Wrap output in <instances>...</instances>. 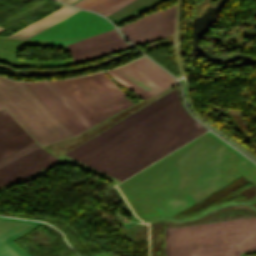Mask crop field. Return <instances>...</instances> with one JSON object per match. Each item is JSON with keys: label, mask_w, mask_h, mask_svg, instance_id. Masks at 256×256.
<instances>
[{"label": "crop field", "mask_w": 256, "mask_h": 256, "mask_svg": "<svg viewBox=\"0 0 256 256\" xmlns=\"http://www.w3.org/2000/svg\"><path fill=\"white\" fill-rule=\"evenodd\" d=\"M136 62L139 65H141L143 68H145L147 71L152 73L154 76H156L158 79H160L162 82H164L166 85L169 86L176 82L170 75H168L166 72H164L161 68H159L153 62H151L149 59L144 58V59H141ZM137 63H135L133 61L123 67H120L119 69H121L123 72H125L126 74L131 76L133 79H135L136 81L141 83L146 88L143 87L138 82H136L135 80H133L128 75H126L125 73H123L119 69L108 71L107 73H109L114 78H116L117 80L122 82L128 89H130L134 86H136L140 90L145 88L141 91L139 89H137L136 87L131 89L135 93H137L140 97H142L143 99H145L159 91H162V90L168 88V86H166L164 83H162L156 77L151 75L149 72H147L141 66H139Z\"/></svg>", "instance_id": "6"}, {"label": "crop field", "mask_w": 256, "mask_h": 256, "mask_svg": "<svg viewBox=\"0 0 256 256\" xmlns=\"http://www.w3.org/2000/svg\"><path fill=\"white\" fill-rule=\"evenodd\" d=\"M121 0H82L74 6L102 12Z\"/></svg>", "instance_id": "16"}, {"label": "crop field", "mask_w": 256, "mask_h": 256, "mask_svg": "<svg viewBox=\"0 0 256 256\" xmlns=\"http://www.w3.org/2000/svg\"><path fill=\"white\" fill-rule=\"evenodd\" d=\"M40 147L35 141L22 147L21 149L9 154L8 156L0 159V167L14 161L15 159L27 154L28 152Z\"/></svg>", "instance_id": "17"}, {"label": "crop field", "mask_w": 256, "mask_h": 256, "mask_svg": "<svg viewBox=\"0 0 256 256\" xmlns=\"http://www.w3.org/2000/svg\"><path fill=\"white\" fill-rule=\"evenodd\" d=\"M166 0H134L107 17L117 26Z\"/></svg>", "instance_id": "13"}, {"label": "crop field", "mask_w": 256, "mask_h": 256, "mask_svg": "<svg viewBox=\"0 0 256 256\" xmlns=\"http://www.w3.org/2000/svg\"><path fill=\"white\" fill-rule=\"evenodd\" d=\"M51 99L52 101L83 131L87 129L77 117L55 96V94L43 83H36Z\"/></svg>", "instance_id": "15"}, {"label": "crop field", "mask_w": 256, "mask_h": 256, "mask_svg": "<svg viewBox=\"0 0 256 256\" xmlns=\"http://www.w3.org/2000/svg\"><path fill=\"white\" fill-rule=\"evenodd\" d=\"M111 28L112 24L104 18L81 10L29 39L88 37Z\"/></svg>", "instance_id": "7"}, {"label": "crop field", "mask_w": 256, "mask_h": 256, "mask_svg": "<svg viewBox=\"0 0 256 256\" xmlns=\"http://www.w3.org/2000/svg\"><path fill=\"white\" fill-rule=\"evenodd\" d=\"M56 82L96 123L132 105L102 72Z\"/></svg>", "instance_id": "5"}, {"label": "crop field", "mask_w": 256, "mask_h": 256, "mask_svg": "<svg viewBox=\"0 0 256 256\" xmlns=\"http://www.w3.org/2000/svg\"><path fill=\"white\" fill-rule=\"evenodd\" d=\"M55 94L56 96L79 118V120L87 127L91 125L80 115V113L58 92V90L49 82H44Z\"/></svg>", "instance_id": "18"}, {"label": "crop field", "mask_w": 256, "mask_h": 256, "mask_svg": "<svg viewBox=\"0 0 256 256\" xmlns=\"http://www.w3.org/2000/svg\"><path fill=\"white\" fill-rule=\"evenodd\" d=\"M256 250V217L165 229L166 256H240Z\"/></svg>", "instance_id": "3"}, {"label": "crop field", "mask_w": 256, "mask_h": 256, "mask_svg": "<svg viewBox=\"0 0 256 256\" xmlns=\"http://www.w3.org/2000/svg\"><path fill=\"white\" fill-rule=\"evenodd\" d=\"M34 94L57 116V118L74 134L82 132L52 101L51 99L35 84L24 82Z\"/></svg>", "instance_id": "14"}, {"label": "crop field", "mask_w": 256, "mask_h": 256, "mask_svg": "<svg viewBox=\"0 0 256 256\" xmlns=\"http://www.w3.org/2000/svg\"><path fill=\"white\" fill-rule=\"evenodd\" d=\"M3 30V28L0 27V31Z\"/></svg>", "instance_id": "23"}, {"label": "crop field", "mask_w": 256, "mask_h": 256, "mask_svg": "<svg viewBox=\"0 0 256 256\" xmlns=\"http://www.w3.org/2000/svg\"><path fill=\"white\" fill-rule=\"evenodd\" d=\"M34 222L9 217H0V256H26L11 242L41 226Z\"/></svg>", "instance_id": "10"}, {"label": "crop field", "mask_w": 256, "mask_h": 256, "mask_svg": "<svg viewBox=\"0 0 256 256\" xmlns=\"http://www.w3.org/2000/svg\"><path fill=\"white\" fill-rule=\"evenodd\" d=\"M241 173L256 184V165L208 132L120 185L141 217L172 215Z\"/></svg>", "instance_id": "1"}, {"label": "crop field", "mask_w": 256, "mask_h": 256, "mask_svg": "<svg viewBox=\"0 0 256 256\" xmlns=\"http://www.w3.org/2000/svg\"><path fill=\"white\" fill-rule=\"evenodd\" d=\"M61 1L67 3V2H69V1H71V0H61Z\"/></svg>", "instance_id": "22"}, {"label": "crop field", "mask_w": 256, "mask_h": 256, "mask_svg": "<svg viewBox=\"0 0 256 256\" xmlns=\"http://www.w3.org/2000/svg\"><path fill=\"white\" fill-rule=\"evenodd\" d=\"M175 6L146 15L123 27L121 31L134 45L173 33Z\"/></svg>", "instance_id": "8"}, {"label": "crop field", "mask_w": 256, "mask_h": 256, "mask_svg": "<svg viewBox=\"0 0 256 256\" xmlns=\"http://www.w3.org/2000/svg\"><path fill=\"white\" fill-rule=\"evenodd\" d=\"M34 141L3 109L0 111V158Z\"/></svg>", "instance_id": "11"}, {"label": "crop field", "mask_w": 256, "mask_h": 256, "mask_svg": "<svg viewBox=\"0 0 256 256\" xmlns=\"http://www.w3.org/2000/svg\"><path fill=\"white\" fill-rule=\"evenodd\" d=\"M0 103L41 146L73 136L23 82L0 76Z\"/></svg>", "instance_id": "4"}, {"label": "crop field", "mask_w": 256, "mask_h": 256, "mask_svg": "<svg viewBox=\"0 0 256 256\" xmlns=\"http://www.w3.org/2000/svg\"><path fill=\"white\" fill-rule=\"evenodd\" d=\"M78 1H80V0H74V1L70 2L69 4L73 5V4L77 3Z\"/></svg>", "instance_id": "21"}, {"label": "crop field", "mask_w": 256, "mask_h": 256, "mask_svg": "<svg viewBox=\"0 0 256 256\" xmlns=\"http://www.w3.org/2000/svg\"><path fill=\"white\" fill-rule=\"evenodd\" d=\"M0 109H2V107L0 106Z\"/></svg>", "instance_id": "24"}, {"label": "crop field", "mask_w": 256, "mask_h": 256, "mask_svg": "<svg viewBox=\"0 0 256 256\" xmlns=\"http://www.w3.org/2000/svg\"><path fill=\"white\" fill-rule=\"evenodd\" d=\"M59 160L41 147L0 169V187L13 180L23 179Z\"/></svg>", "instance_id": "9"}, {"label": "crop field", "mask_w": 256, "mask_h": 256, "mask_svg": "<svg viewBox=\"0 0 256 256\" xmlns=\"http://www.w3.org/2000/svg\"><path fill=\"white\" fill-rule=\"evenodd\" d=\"M59 92L81 113V115L93 126L96 123L82 110V108L55 82L50 81Z\"/></svg>", "instance_id": "19"}, {"label": "crop field", "mask_w": 256, "mask_h": 256, "mask_svg": "<svg viewBox=\"0 0 256 256\" xmlns=\"http://www.w3.org/2000/svg\"><path fill=\"white\" fill-rule=\"evenodd\" d=\"M77 11L79 10L64 6L39 20L38 22L29 25L8 37L27 39Z\"/></svg>", "instance_id": "12"}, {"label": "crop field", "mask_w": 256, "mask_h": 256, "mask_svg": "<svg viewBox=\"0 0 256 256\" xmlns=\"http://www.w3.org/2000/svg\"><path fill=\"white\" fill-rule=\"evenodd\" d=\"M205 131L171 90L64 154L122 181Z\"/></svg>", "instance_id": "2"}, {"label": "crop field", "mask_w": 256, "mask_h": 256, "mask_svg": "<svg viewBox=\"0 0 256 256\" xmlns=\"http://www.w3.org/2000/svg\"><path fill=\"white\" fill-rule=\"evenodd\" d=\"M130 1H132V0H123V1H121L120 3L114 5L113 7L107 9L106 11L102 12L101 14H103V15L106 16L107 14L113 12L114 10L120 8L121 6L127 4V3L130 2Z\"/></svg>", "instance_id": "20"}]
</instances>
